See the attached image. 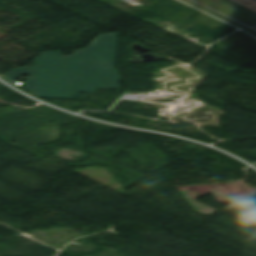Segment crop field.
<instances>
[{
    "mask_svg": "<svg viewBox=\"0 0 256 256\" xmlns=\"http://www.w3.org/2000/svg\"><path fill=\"white\" fill-rule=\"evenodd\" d=\"M118 33L98 35L88 47L62 57L57 51L40 54L36 66L13 69L6 78L29 75L24 85L39 96L75 99L81 92L121 88L120 77L114 68Z\"/></svg>",
    "mask_w": 256,
    "mask_h": 256,
    "instance_id": "8a807250",
    "label": "crop field"
},
{
    "mask_svg": "<svg viewBox=\"0 0 256 256\" xmlns=\"http://www.w3.org/2000/svg\"><path fill=\"white\" fill-rule=\"evenodd\" d=\"M249 27L256 25V2L253 0H196Z\"/></svg>",
    "mask_w": 256,
    "mask_h": 256,
    "instance_id": "ac0d7876",
    "label": "crop field"
}]
</instances>
